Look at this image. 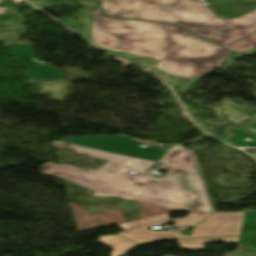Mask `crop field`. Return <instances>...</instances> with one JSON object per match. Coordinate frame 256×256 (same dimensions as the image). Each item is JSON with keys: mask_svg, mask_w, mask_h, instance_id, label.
Returning <instances> with one entry per match:
<instances>
[{"mask_svg": "<svg viewBox=\"0 0 256 256\" xmlns=\"http://www.w3.org/2000/svg\"><path fill=\"white\" fill-rule=\"evenodd\" d=\"M160 163L173 165L185 169L196 170L190 151L188 149L182 148L181 146H177L171 149V151Z\"/></svg>", "mask_w": 256, "mask_h": 256, "instance_id": "obj_7", "label": "crop field"}, {"mask_svg": "<svg viewBox=\"0 0 256 256\" xmlns=\"http://www.w3.org/2000/svg\"><path fill=\"white\" fill-rule=\"evenodd\" d=\"M236 134L237 138L231 144L236 146H256V135L242 128L236 130Z\"/></svg>", "mask_w": 256, "mask_h": 256, "instance_id": "obj_10", "label": "crop field"}, {"mask_svg": "<svg viewBox=\"0 0 256 256\" xmlns=\"http://www.w3.org/2000/svg\"><path fill=\"white\" fill-rule=\"evenodd\" d=\"M239 245L256 250V236L241 237Z\"/></svg>", "mask_w": 256, "mask_h": 256, "instance_id": "obj_12", "label": "crop field"}, {"mask_svg": "<svg viewBox=\"0 0 256 256\" xmlns=\"http://www.w3.org/2000/svg\"><path fill=\"white\" fill-rule=\"evenodd\" d=\"M1 1V0H0ZM18 5L24 2V0H14ZM7 9L0 8V14H4Z\"/></svg>", "mask_w": 256, "mask_h": 256, "instance_id": "obj_16", "label": "crop field"}, {"mask_svg": "<svg viewBox=\"0 0 256 256\" xmlns=\"http://www.w3.org/2000/svg\"><path fill=\"white\" fill-rule=\"evenodd\" d=\"M242 127H244V128H246V129H248V130H250V131L256 133V122H253V123L244 125V126H242Z\"/></svg>", "mask_w": 256, "mask_h": 256, "instance_id": "obj_14", "label": "crop field"}, {"mask_svg": "<svg viewBox=\"0 0 256 256\" xmlns=\"http://www.w3.org/2000/svg\"><path fill=\"white\" fill-rule=\"evenodd\" d=\"M102 171H105V172H108V173H111V174H114L116 175V173L108 168H104Z\"/></svg>", "mask_w": 256, "mask_h": 256, "instance_id": "obj_18", "label": "crop field"}, {"mask_svg": "<svg viewBox=\"0 0 256 256\" xmlns=\"http://www.w3.org/2000/svg\"><path fill=\"white\" fill-rule=\"evenodd\" d=\"M58 146H62V147H66V148H71V149H75V150H81V151H84V150L88 149V148H83V147L69 145V144H64V143H59Z\"/></svg>", "mask_w": 256, "mask_h": 256, "instance_id": "obj_13", "label": "crop field"}, {"mask_svg": "<svg viewBox=\"0 0 256 256\" xmlns=\"http://www.w3.org/2000/svg\"><path fill=\"white\" fill-rule=\"evenodd\" d=\"M256 219V211L246 212L244 220Z\"/></svg>", "mask_w": 256, "mask_h": 256, "instance_id": "obj_15", "label": "crop field"}, {"mask_svg": "<svg viewBox=\"0 0 256 256\" xmlns=\"http://www.w3.org/2000/svg\"><path fill=\"white\" fill-rule=\"evenodd\" d=\"M62 142L153 162H158L166 154L165 151L157 150L158 147L141 148L140 143L123 136L65 137Z\"/></svg>", "mask_w": 256, "mask_h": 256, "instance_id": "obj_5", "label": "crop field"}, {"mask_svg": "<svg viewBox=\"0 0 256 256\" xmlns=\"http://www.w3.org/2000/svg\"><path fill=\"white\" fill-rule=\"evenodd\" d=\"M91 34L100 48L160 60L156 69L179 77L210 73L232 54L177 26L104 17L100 9Z\"/></svg>", "mask_w": 256, "mask_h": 256, "instance_id": "obj_1", "label": "crop field"}, {"mask_svg": "<svg viewBox=\"0 0 256 256\" xmlns=\"http://www.w3.org/2000/svg\"><path fill=\"white\" fill-rule=\"evenodd\" d=\"M210 214L191 212L184 219L174 220H170L167 214H163L122 223L117 226L125 231L114 236H100L97 242L114 249L111 256H121L129 249L142 243L175 238L240 236L245 212L214 213L192 231L191 237H182L180 232H160L148 229L149 226L165 224L172 221L176 222V226H196Z\"/></svg>", "mask_w": 256, "mask_h": 256, "instance_id": "obj_4", "label": "crop field"}, {"mask_svg": "<svg viewBox=\"0 0 256 256\" xmlns=\"http://www.w3.org/2000/svg\"><path fill=\"white\" fill-rule=\"evenodd\" d=\"M227 49L237 53L256 48V33L226 47Z\"/></svg>", "mask_w": 256, "mask_h": 256, "instance_id": "obj_9", "label": "crop field"}, {"mask_svg": "<svg viewBox=\"0 0 256 256\" xmlns=\"http://www.w3.org/2000/svg\"><path fill=\"white\" fill-rule=\"evenodd\" d=\"M216 16L239 17L256 8L254 0H204Z\"/></svg>", "mask_w": 256, "mask_h": 256, "instance_id": "obj_6", "label": "crop field"}, {"mask_svg": "<svg viewBox=\"0 0 256 256\" xmlns=\"http://www.w3.org/2000/svg\"><path fill=\"white\" fill-rule=\"evenodd\" d=\"M96 158L109 160L103 167L90 173L71 165L42 166L41 173L68 179L93 192L90 196H115L182 211L212 212L200 175L196 171L171 166L165 179L125 174L131 170L145 173L156 163L130 159L95 150H87ZM108 167L118 175L100 171ZM173 191H182L184 199H175Z\"/></svg>", "mask_w": 256, "mask_h": 256, "instance_id": "obj_2", "label": "crop field"}, {"mask_svg": "<svg viewBox=\"0 0 256 256\" xmlns=\"http://www.w3.org/2000/svg\"><path fill=\"white\" fill-rule=\"evenodd\" d=\"M105 15L178 24L225 46L256 31V9L236 19L216 17L203 0H104Z\"/></svg>", "mask_w": 256, "mask_h": 256, "instance_id": "obj_3", "label": "crop field"}, {"mask_svg": "<svg viewBox=\"0 0 256 256\" xmlns=\"http://www.w3.org/2000/svg\"><path fill=\"white\" fill-rule=\"evenodd\" d=\"M176 198H183L181 192H174Z\"/></svg>", "mask_w": 256, "mask_h": 256, "instance_id": "obj_17", "label": "crop field"}, {"mask_svg": "<svg viewBox=\"0 0 256 256\" xmlns=\"http://www.w3.org/2000/svg\"><path fill=\"white\" fill-rule=\"evenodd\" d=\"M240 237L233 238H212V239H181L178 240L183 250H204L203 245L208 242L224 241L226 243H238Z\"/></svg>", "mask_w": 256, "mask_h": 256, "instance_id": "obj_8", "label": "crop field"}, {"mask_svg": "<svg viewBox=\"0 0 256 256\" xmlns=\"http://www.w3.org/2000/svg\"><path fill=\"white\" fill-rule=\"evenodd\" d=\"M256 235V220L244 221L241 236Z\"/></svg>", "mask_w": 256, "mask_h": 256, "instance_id": "obj_11", "label": "crop field"}]
</instances>
